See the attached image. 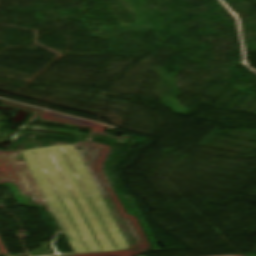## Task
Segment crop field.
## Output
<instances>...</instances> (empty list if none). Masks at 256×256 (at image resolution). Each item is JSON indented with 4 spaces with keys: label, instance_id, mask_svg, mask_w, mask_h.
<instances>
[{
    "label": "crop field",
    "instance_id": "obj_2",
    "mask_svg": "<svg viewBox=\"0 0 256 256\" xmlns=\"http://www.w3.org/2000/svg\"><path fill=\"white\" fill-rule=\"evenodd\" d=\"M31 175L19 151L0 152V178Z\"/></svg>",
    "mask_w": 256,
    "mask_h": 256
},
{
    "label": "crop field",
    "instance_id": "obj_1",
    "mask_svg": "<svg viewBox=\"0 0 256 256\" xmlns=\"http://www.w3.org/2000/svg\"><path fill=\"white\" fill-rule=\"evenodd\" d=\"M20 153L75 254L129 248L74 145Z\"/></svg>",
    "mask_w": 256,
    "mask_h": 256
},
{
    "label": "crop field",
    "instance_id": "obj_3",
    "mask_svg": "<svg viewBox=\"0 0 256 256\" xmlns=\"http://www.w3.org/2000/svg\"><path fill=\"white\" fill-rule=\"evenodd\" d=\"M33 204L46 203V200L35 182L33 176L20 178Z\"/></svg>",
    "mask_w": 256,
    "mask_h": 256
}]
</instances>
